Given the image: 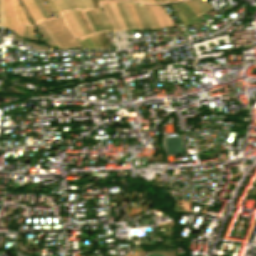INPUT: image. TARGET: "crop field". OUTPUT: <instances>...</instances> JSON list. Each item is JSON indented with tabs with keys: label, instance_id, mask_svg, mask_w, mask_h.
Instances as JSON below:
<instances>
[{
	"label": "crop field",
	"instance_id": "1",
	"mask_svg": "<svg viewBox=\"0 0 256 256\" xmlns=\"http://www.w3.org/2000/svg\"><path fill=\"white\" fill-rule=\"evenodd\" d=\"M59 49L78 47L75 37L70 33L62 16L40 22ZM60 32V34H58Z\"/></svg>",
	"mask_w": 256,
	"mask_h": 256
},
{
	"label": "crop field",
	"instance_id": "2",
	"mask_svg": "<svg viewBox=\"0 0 256 256\" xmlns=\"http://www.w3.org/2000/svg\"><path fill=\"white\" fill-rule=\"evenodd\" d=\"M63 16L68 24V27L70 31L77 37V38H82L85 37L81 28L79 27L76 19L74 16L71 14V12H65L63 13Z\"/></svg>",
	"mask_w": 256,
	"mask_h": 256
},
{
	"label": "crop field",
	"instance_id": "3",
	"mask_svg": "<svg viewBox=\"0 0 256 256\" xmlns=\"http://www.w3.org/2000/svg\"><path fill=\"white\" fill-rule=\"evenodd\" d=\"M8 5H9V11H10V22L8 28L12 29L16 33L22 35L23 27L18 23V20L16 18L14 8H13V3L12 0H8Z\"/></svg>",
	"mask_w": 256,
	"mask_h": 256
},
{
	"label": "crop field",
	"instance_id": "4",
	"mask_svg": "<svg viewBox=\"0 0 256 256\" xmlns=\"http://www.w3.org/2000/svg\"><path fill=\"white\" fill-rule=\"evenodd\" d=\"M177 4V6H178V8L181 10V8H182V10L184 11V13L187 15V17L189 18V19H193L194 18V16H195V18H197L198 16L192 11V13H193V15H192V13L190 12V10H189V8H188V6L184 3V2H179V5H180V7H179V5H178V3H176ZM181 10V11H182ZM183 11H182V13H183ZM183 13V14H184ZM184 14V16H185V18L188 20V18L186 17V15ZM189 22V24H196V23H199V22H201L200 21V19L199 18H197V19H193V20H191V21H188Z\"/></svg>",
	"mask_w": 256,
	"mask_h": 256
},
{
	"label": "crop field",
	"instance_id": "5",
	"mask_svg": "<svg viewBox=\"0 0 256 256\" xmlns=\"http://www.w3.org/2000/svg\"><path fill=\"white\" fill-rule=\"evenodd\" d=\"M29 3L31 4V6L33 7V9L35 10V12L37 13V15L39 16V18L41 20L44 19V17L42 16V14L40 13V11L38 10V8L36 7L35 3L33 2V0H28ZM27 0H23V2L25 3V5L27 6V8L29 9V11L31 12L35 22L39 21L38 16L36 15V13L34 12V10L32 9V7L30 6V4L28 3Z\"/></svg>",
	"mask_w": 256,
	"mask_h": 256
},
{
	"label": "crop field",
	"instance_id": "6",
	"mask_svg": "<svg viewBox=\"0 0 256 256\" xmlns=\"http://www.w3.org/2000/svg\"><path fill=\"white\" fill-rule=\"evenodd\" d=\"M155 10L157 11L158 15L160 16L163 24L165 26H172V22L170 21L169 16L165 13L164 8L162 5L154 6Z\"/></svg>",
	"mask_w": 256,
	"mask_h": 256
},
{
	"label": "crop field",
	"instance_id": "7",
	"mask_svg": "<svg viewBox=\"0 0 256 256\" xmlns=\"http://www.w3.org/2000/svg\"><path fill=\"white\" fill-rule=\"evenodd\" d=\"M132 5H133L134 11H135V13H136V15L138 17V20H139L141 26L142 27H149V24L146 21V19H145L144 15H143L139 5H134V4H132Z\"/></svg>",
	"mask_w": 256,
	"mask_h": 256
},
{
	"label": "crop field",
	"instance_id": "8",
	"mask_svg": "<svg viewBox=\"0 0 256 256\" xmlns=\"http://www.w3.org/2000/svg\"><path fill=\"white\" fill-rule=\"evenodd\" d=\"M109 5H110V7H111V9H112V11H113L115 17H116V19H117V21H118V23H119L121 29L127 28L126 25H125V23H124V21H123L122 16H120V13H119V11H118V9H117L115 3H109Z\"/></svg>",
	"mask_w": 256,
	"mask_h": 256
},
{
	"label": "crop field",
	"instance_id": "9",
	"mask_svg": "<svg viewBox=\"0 0 256 256\" xmlns=\"http://www.w3.org/2000/svg\"><path fill=\"white\" fill-rule=\"evenodd\" d=\"M101 5H102V7L104 8V10H105V12H106L108 18H109L110 21L112 22V24H113L115 30L120 29L119 26H118V24H117V22H116V20H115V18H114V16H113V14H112V12H111V10H110V8H109L108 3H106V4H101Z\"/></svg>",
	"mask_w": 256,
	"mask_h": 256
},
{
	"label": "crop field",
	"instance_id": "10",
	"mask_svg": "<svg viewBox=\"0 0 256 256\" xmlns=\"http://www.w3.org/2000/svg\"><path fill=\"white\" fill-rule=\"evenodd\" d=\"M101 10H102V9H101ZM101 10H100V9H99V10H96V12H97V14H98V16H99V18H100V20H101L102 24H103V25H104V27L106 28V30H111L112 26H111V24L109 23V21H108L107 17L105 16V14H104V12H103V10H102V12H103L104 16L106 17V19H107L108 23H109V24H110V26H111V28H110V26H109V24L107 23V21H106L105 17L103 16V14H102ZM112 30H114V29L112 28Z\"/></svg>",
	"mask_w": 256,
	"mask_h": 256
},
{
	"label": "crop field",
	"instance_id": "11",
	"mask_svg": "<svg viewBox=\"0 0 256 256\" xmlns=\"http://www.w3.org/2000/svg\"><path fill=\"white\" fill-rule=\"evenodd\" d=\"M3 6H4V25L3 26L7 27L8 26V22H9L7 0H3Z\"/></svg>",
	"mask_w": 256,
	"mask_h": 256
},
{
	"label": "crop field",
	"instance_id": "12",
	"mask_svg": "<svg viewBox=\"0 0 256 256\" xmlns=\"http://www.w3.org/2000/svg\"><path fill=\"white\" fill-rule=\"evenodd\" d=\"M34 2L36 3L37 7L39 8V10L41 11V13L43 14V16L45 17V19L50 18V15L48 14V12L46 11V9L43 7V5L41 4V2L39 0H34Z\"/></svg>",
	"mask_w": 256,
	"mask_h": 256
},
{
	"label": "crop field",
	"instance_id": "13",
	"mask_svg": "<svg viewBox=\"0 0 256 256\" xmlns=\"http://www.w3.org/2000/svg\"><path fill=\"white\" fill-rule=\"evenodd\" d=\"M83 46L85 48H95L93 42L91 41L90 37L84 38L83 40H81Z\"/></svg>",
	"mask_w": 256,
	"mask_h": 256
},
{
	"label": "crop field",
	"instance_id": "14",
	"mask_svg": "<svg viewBox=\"0 0 256 256\" xmlns=\"http://www.w3.org/2000/svg\"><path fill=\"white\" fill-rule=\"evenodd\" d=\"M185 2L197 15L203 14L190 0H186Z\"/></svg>",
	"mask_w": 256,
	"mask_h": 256
},
{
	"label": "crop field",
	"instance_id": "15",
	"mask_svg": "<svg viewBox=\"0 0 256 256\" xmlns=\"http://www.w3.org/2000/svg\"><path fill=\"white\" fill-rule=\"evenodd\" d=\"M160 27H164L153 6H149Z\"/></svg>",
	"mask_w": 256,
	"mask_h": 256
},
{
	"label": "crop field",
	"instance_id": "16",
	"mask_svg": "<svg viewBox=\"0 0 256 256\" xmlns=\"http://www.w3.org/2000/svg\"><path fill=\"white\" fill-rule=\"evenodd\" d=\"M91 38L97 48H103L97 35L91 36Z\"/></svg>",
	"mask_w": 256,
	"mask_h": 256
},
{
	"label": "crop field",
	"instance_id": "17",
	"mask_svg": "<svg viewBox=\"0 0 256 256\" xmlns=\"http://www.w3.org/2000/svg\"><path fill=\"white\" fill-rule=\"evenodd\" d=\"M145 8H146V12H147L148 16L150 17V19H151L152 23L154 24V26L158 27V25H157L153 15L151 14V11L149 10L148 6H145Z\"/></svg>",
	"mask_w": 256,
	"mask_h": 256
},
{
	"label": "crop field",
	"instance_id": "18",
	"mask_svg": "<svg viewBox=\"0 0 256 256\" xmlns=\"http://www.w3.org/2000/svg\"><path fill=\"white\" fill-rule=\"evenodd\" d=\"M54 2H55V4H56V6L58 7V9L60 10V11H62V9H63V11H65V8H66V10H68V7L65 5V3L63 2V0H61V2L63 3V5H64V7H63V5H62V3L60 2V0H57L58 2H59V4H60V6L62 7V9H61V7L59 6V4H58V2L56 1V0H53Z\"/></svg>",
	"mask_w": 256,
	"mask_h": 256
},
{
	"label": "crop field",
	"instance_id": "19",
	"mask_svg": "<svg viewBox=\"0 0 256 256\" xmlns=\"http://www.w3.org/2000/svg\"><path fill=\"white\" fill-rule=\"evenodd\" d=\"M21 2H22V0H21ZM22 5H23V7H24V9H25V11L27 12V14L29 15V17L32 19V21L34 22V20H33V18H32V16H31V14H30V12L28 11V9L26 8V6L24 5V3L22 2ZM34 24L37 26V28H38V30L40 31V29H39V27H38V25L34 22ZM40 33H41V35L44 37V35L42 34V32L40 31ZM44 39H45V37H44ZM45 41H46V39H45ZM46 43L48 44V42L46 41ZM49 45V44H48Z\"/></svg>",
	"mask_w": 256,
	"mask_h": 256
},
{
	"label": "crop field",
	"instance_id": "20",
	"mask_svg": "<svg viewBox=\"0 0 256 256\" xmlns=\"http://www.w3.org/2000/svg\"><path fill=\"white\" fill-rule=\"evenodd\" d=\"M14 1H15V0H14ZM16 3H17V2H16ZM17 6H18V4H17ZM14 8H15V11H16V15H17V17H18V19H19V16H20L22 10H21V12H20V14H19V16H18V12L20 11L21 8H20L19 11L17 12V9H18L19 7L16 9L15 3H14ZM22 14H23V12H22ZM22 14H21V16H22ZM21 16H20V19H21ZM23 18H24L25 24H28V22H27V20H26V18H25V16H24V14H23ZM23 18H22V19H23ZM20 19H19V22H20ZM22 19H21V22H22ZM21 22H20V23H21ZM22 24H23V23H22Z\"/></svg>",
	"mask_w": 256,
	"mask_h": 256
},
{
	"label": "crop field",
	"instance_id": "21",
	"mask_svg": "<svg viewBox=\"0 0 256 256\" xmlns=\"http://www.w3.org/2000/svg\"><path fill=\"white\" fill-rule=\"evenodd\" d=\"M49 5L51 6V8L53 9V11L56 13V15H60L59 10L57 9V7L54 5V3L52 2V0H46Z\"/></svg>",
	"mask_w": 256,
	"mask_h": 256
},
{
	"label": "crop field",
	"instance_id": "22",
	"mask_svg": "<svg viewBox=\"0 0 256 256\" xmlns=\"http://www.w3.org/2000/svg\"><path fill=\"white\" fill-rule=\"evenodd\" d=\"M202 12L206 11L204 6L198 2V0H191ZM208 10V9H207Z\"/></svg>",
	"mask_w": 256,
	"mask_h": 256
},
{
	"label": "crop field",
	"instance_id": "23",
	"mask_svg": "<svg viewBox=\"0 0 256 256\" xmlns=\"http://www.w3.org/2000/svg\"><path fill=\"white\" fill-rule=\"evenodd\" d=\"M3 24V7H2V0H0V25Z\"/></svg>",
	"mask_w": 256,
	"mask_h": 256
},
{
	"label": "crop field",
	"instance_id": "24",
	"mask_svg": "<svg viewBox=\"0 0 256 256\" xmlns=\"http://www.w3.org/2000/svg\"><path fill=\"white\" fill-rule=\"evenodd\" d=\"M83 2H84L87 9L94 8L92 3H91V0H83Z\"/></svg>",
	"mask_w": 256,
	"mask_h": 256
},
{
	"label": "crop field",
	"instance_id": "25",
	"mask_svg": "<svg viewBox=\"0 0 256 256\" xmlns=\"http://www.w3.org/2000/svg\"><path fill=\"white\" fill-rule=\"evenodd\" d=\"M72 14L75 16L76 12H75V14H74V12H72ZM76 16H77V14H76ZM76 16H75V18H76ZM77 18L79 19L78 16H77ZM77 18H76V19H77ZM77 21H78V20H77ZM79 21H80V19H79ZM79 21H78V23H79ZM80 23H81L82 27L84 28V30L86 31L87 35H89L88 32H87V30L85 29V27H84V25L82 24L81 21H80ZM80 23H79V25H80ZM81 25H80V27H81ZM82 27H81V28H82ZM83 28H82V30H83ZM84 30H83V32H84ZM86 33L84 32L85 36H87Z\"/></svg>",
	"mask_w": 256,
	"mask_h": 256
},
{
	"label": "crop field",
	"instance_id": "26",
	"mask_svg": "<svg viewBox=\"0 0 256 256\" xmlns=\"http://www.w3.org/2000/svg\"><path fill=\"white\" fill-rule=\"evenodd\" d=\"M23 37L29 38V26H25Z\"/></svg>",
	"mask_w": 256,
	"mask_h": 256
},
{
	"label": "crop field",
	"instance_id": "27",
	"mask_svg": "<svg viewBox=\"0 0 256 256\" xmlns=\"http://www.w3.org/2000/svg\"><path fill=\"white\" fill-rule=\"evenodd\" d=\"M141 8H142V11H143V13H144L145 17L147 18V20H148V22H149L150 26H151V28H153V25H152V23H151L150 19L148 18L147 14H146V12H145L144 7H143V6H141Z\"/></svg>",
	"mask_w": 256,
	"mask_h": 256
},
{
	"label": "crop field",
	"instance_id": "28",
	"mask_svg": "<svg viewBox=\"0 0 256 256\" xmlns=\"http://www.w3.org/2000/svg\"><path fill=\"white\" fill-rule=\"evenodd\" d=\"M82 13H83V15H84V17H85V19H86V21H87L89 27L91 28L92 32L95 33V31H94V29H93V27H92L90 21L88 20V18H87L86 15L84 14V12H82Z\"/></svg>",
	"mask_w": 256,
	"mask_h": 256
},
{
	"label": "crop field",
	"instance_id": "29",
	"mask_svg": "<svg viewBox=\"0 0 256 256\" xmlns=\"http://www.w3.org/2000/svg\"><path fill=\"white\" fill-rule=\"evenodd\" d=\"M39 25V23H37ZM41 31L43 32V34L45 35V37L47 38L48 42L50 43V45H52L53 43L51 42V40L49 39V37L47 36V34L44 32V30L41 28V26L39 25Z\"/></svg>",
	"mask_w": 256,
	"mask_h": 256
},
{
	"label": "crop field",
	"instance_id": "30",
	"mask_svg": "<svg viewBox=\"0 0 256 256\" xmlns=\"http://www.w3.org/2000/svg\"><path fill=\"white\" fill-rule=\"evenodd\" d=\"M23 43H26V44H28V45L34 46V47L39 48V49L48 50V49H46V48H44V47H39V46H36V45H34V44L27 43V42H25V41H23Z\"/></svg>",
	"mask_w": 256,
	"mask_h": 256
},
{
	"label": "crop field",
	"instance_id": "31",
	"mask_svg": "<svg viewBox=\"0 0 256 256\" xmlns=\"http://www.w3.org/2000/svg\"><path fill=\"white\" fill-rule=\"evenodd\" d=\"M30 38L36 39L33 29H32V26H30Z\"/></svg>",
	"mask_w": 256,
	"mask_h": 256
},
{
	"label": "crop field",
	"instance_id": "32",
	"mask_svg": "<svg viewBox=\"0 0 256 256\" xmlns=\"http://www.w3.org/2000/svg\"><path fill=\"white\" fill-rule=\"evenodd\" d=\"M124 3H125V5H126V8H127L128 12H129V15H130V17H131V20H132L134 26L137 27L136 24H135V22H134V20H133V18H132V16H131L130 10H129V8H128L126 2H124Z\"/></svg>",
	"mask_w": 256,
	"mask_h": 256
},
{
	"label": "crop field",
	"instance_id": "33",
	"mask_svg": "<svg viewBox=\"0 0 256 256\" xmlns=\"http://www.w3.org/2000/svg\"><path fill=\"white\" fill-rule=\"evenodd\" d=\"M74 1H75L76 5L78 6V8H80V6H81V8L83 9L84 5H83L82 0H80V1H81V3H82L83 7H82V5H81V3H80V1H79V0H77V1H78V3L80 4V6H79V4L77 3V1H76V0H74ZM81 8H80V9H81ZM84 8H85V7H84Z\"/></svg>",
	"mask_w": 256,
	"mask_h": 256
},
{
	"label": "crop field",
	"instance_id": "34",
	"mask_svg": "<svg viewBox=\"0 0 256 256\" xmlns=\"http://www.w3.org/2000/svg\"><path fill=\"white\" fill-rule=\"evenodd\" d=\"M67 1H68V3L70 4L71 8H72V9H75V7H74L72 1H71V0H67Z\"/></svg>",
	"mask_w": 256,
	"mask_h": 256
},
{
	"label": "crop field",
	"instance_id": "35",
	"mask_svg": "<svg viewBox=\"0 0 256 256\" xmlns=\"http://www.w3.org/2000/svg\"><path fill=\"white\" fill-rule=\"evenodd\" d=\"M128 5H129V4H128ZM129 7H130V5H129ZM130 10H131L132 16H133V18H134V20H135V22H136V24H137V21H136V19H135V17H134V14H133V12H132L131 7H130ZM137 26H138V24H137ZM138 27H139V26H138Z\"/></svg>",
	"mask_w": 256,
	"mask_h": 256
},
{
	"label": "crop field",
	"instance_id": "36",
	"mask_svg": "<svg viewBox=\"0 0 256 256\" xmlns=\"http://www.w3.org/2000/svg\"><path fill=\"white\" fill-rule=\"evenodd\" d=\"M202 3H204L209 9H212L205 1L200 0Z\"/></svg>",
	"mask_w": 256,
	"mask_h": 256
},
{
	"label": "crop field",
	"instance_id": "37",
	"mask_svg": "<svg viewBox=\"0 0 256 256\" xmlns=\"http://www.w3.org/2000/svg\"><path fill=\"white\" fill-rule=\"evenodd\" d=\"M12 37H13L14 39H16V40L21 41V39H20V38L16 37V36H15V35H13V34H12ZM13 38H12V39H13Z\"/></svg>",
	"mask_w": 256,
	"mask_h": 256
},
{
	"label": "crop field",
	"instance_id": "38",
	"mask_svg": "<svg viewBox=\"0 0 256 256\" xmlns=\"http://www.w3.org/2000/svg\"><path fill=\"white\" fill-rule=\"evenodd\" d=\"M44 6L48 10V12L51 13L50 10L48 9V7L46 6V4H44Z\"/></svg>",
	"mask_w": 256,
	"mask_h": 256
},
{
	"label": "crop field",
	"instance_id": "39",
	"mask_svg": "<svg viewBox=\"0 0 256 256\" xmlns=\"http://www.w3.org/2000/svg\"><path fill=\"white\" fill-rule=\"evenodd\" d=\"M123 4V3H122ZM123 6H124V4H123ZM124 8H125V6H124ZM125 10H126V8H125ZM126 12H127V10H126ZM128 14V13H127ZM129 16V15H128ZM130 18V17H129ZM131 24V23H130ZM132 26V25H131Z\"/></svg>",
	"mask_w": 256,
	"mask_h": 256
},
{
	"label": "crop field",
	"instance_id": "40",
	"mask_svg": "<svg viewBox=\"0 0 256 256\" xmlns=\"http://www.w3.org/2000/svg\"><path fill=\"white\" fill-rule=\"evenodd\" d=\"M131 5V4H130ZM131 7H132V5H131ZM133 9V8H132ZM134 12V11H133ZM135 14V13H134ZM136 16V15H135ZM136 19H137V17H136ZM138 21V20H137ZM138 24H139V22H138ZM140 26V25H139Z\"/></svg>",
	"mask_w": 256,
	"mask_h": 256
},
{
	"label": "crop field",
	"instance_id": "41",
	"mask_svg": "<svg viewBox=\"0 0 256 256\" xmlns=\"http://www.w3.org/2000/svg\"><path fill=\"white\" fill-rule=\"evenodd\" d=\"M151 3H155L154 0H150Z\"/></svg>",
	"mask_w": 256,
	"mask_h": 256
},
{
	"label": "crop field",
	"instance_id": "42",
	"mask_svg": "<svg viewBox=\"0 0 256 256\" xmlns=\"http://www.w3.org/2000/svg\"><path fill=\"white\" fill-rule=\"evenodd\" d=\"M65 1V3L67 4V2H66V0H64ZM67 6L69 7V5L67 4ZM69 9H70V7H69Z\"/></svg>",
	"mask_w": 256,
	"mask_h": 256
},
{
	"label": "crop field",
	"instance_id": "43",
	"mask_svg": "<svg viewBox=\"0 0 256 256\" xmlns=\"http://www.w3.org/2000/svg\"><path fill=\"white\" fill-rule=\"evenodd\" d=\"M140 1H141V2H144V0H140ZM145 2H146V0H145ZM145 2H144V3H145ZM146 3H147V2H146Z\"/></svg>",
	"mask_w": 256,
	"mask_h": 256
},
{
	"label": "crop field",
	"instance_id": "44",
	"mask_svg": "<svg viewBox=\"0 0 256 256\" xmlns=\"http://www.w3.org/2000/svg\"><path fill=\"white\" fill-rule=\"evenodd\" d=\"M170 2H172V1H175V0H169Z\"/></svg>",
	"mask_w": 256,
	"mask_h": 256
},
{
	"label": "crop field",
	"instance_id": "45",
	"mask_svg": "<svg viewBox=\"0 0 256 256\" xmlns=\"http://www.w3.org/2000/svg\"><path fill=\"white\" fill-rule=\"evenodd\" d=\"M156 1V3H158V0H155Z\"/></svg>",
	"mask_w": 256,
	"mask_h": 256
},
{
	"label": "crop field",
	"instance_id": "46",
	"mask_svg": "<svg viewBox=\"0 0 256 256\" xmlns=\"http://www.w3.org/2000/svg\"><path fill=\"white\" fill-rule=\"evenodd\" d=\"M147 2L150 3L149 0H147Z\"/></svg>",
	"mask_w": 256,
	"mask_h": 256
},
{
	"label": "crop field",
	"instance_id": "47",
	"mask_svg": "<svg viewBox=\"0 0 256 256\" xmlns=\"http://www.w3.org/2000/svg\"><path fill=\"white\" fill-rule=\"evenodd\" d=\"M163 2H166L165 0H162Z\"/></svg>",
	"mask_w": 256,
	"mask_h": 256
},
{
	"label": "crop field",
	"instance_id": "48",
	"mask_svg": "<svg viewBox=\"0 0 256 256\" xmlns=\"http://www.w3.org/2000/svg\"><path fill=\"white\" fill-rule=\"evenodd\" d=\"M132 1H137V0H132Z\"/></svg>",
	"mask_w": 256,
	"mask_h": 256
},
{
	"label": "crop field",
	"instance_id": "49",
	"mask_svg": "<svg viewBox=\"0 0 256 256\" xmlns=\"http://www.w3.org/2000/svg\"><path fill=\"white\" fill-rule=\"evenodd\" d=\"M160 2H162L161 0H159Z\"/></svg>",
	"mask_w": 256,
	"mask_h": 256
},
{
	"label": "crop field",
	"instance_id": "50",
	"mask_svg": "<svg viewBox=\"0 0 256 256\" xmlns=\"http://www.w3.org/2000/svg\"><path fill=\"white\" fill-rule=\"evenodd\" d=\"M42 1V0H41ZM42 3H44L43 1H42Z\"/></svg>",
	"mask_w": 256,
	"mask_h": 256
},
{
	"label": "crop field",
	"instance_id": "51",
	"mask_svg": "<svg viewBox=\"0 0 256 256\" xmlns=\"http://www.w3.org/2000/svg\"><path fill=\"white\" fill-rule=\"evenodd\" d=\"M167 1V0H166ZM168 2V1H167Z\"/></svg>",
	"mask_w": 256,
	"mask_h": 256
},
{
	"label": "crop field",
	"instance_id": "52",
	"mask_svg": "<svg viewBox=\"0 0 256 256\" xmlns=\"http://www.w3.org/2000/svg\"><path fill=\"white\" fill-rule=\"evenodd\" d=\"M139 1V0H138ZM140 2V1H139Z\"/></svg>",
	"mask_w": 256,
	"mask_h": 256
},
{
	"label": "crop field",
	"instance_id": "53",
	"mask_svg": "<svg viewBox=\"0 0 256 256\" xmlns=\"http://www.w3.org/2000/svg\"><path fill=\"white\" fill-rule=\"evenodd\" d=\"M105 1H107V0H105Z\"/></svg>",
	"mask_w": 256,
	"mask_h": 256
},
{
	"label": "crop field",
	"instance_id": "54",
	"mask_svg": "<svg viewBox=\"0 0 256 256\" xmlns=\"http://www.w3.org/2000/svg\"><path fill=\"white\" fill-rule=\"evenodd\" d=\"M129 1H131V0H129Z\"/></svg>",
	"mask_w": 256,
	"mask_h": 256
}]
</instances>
